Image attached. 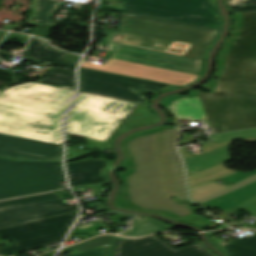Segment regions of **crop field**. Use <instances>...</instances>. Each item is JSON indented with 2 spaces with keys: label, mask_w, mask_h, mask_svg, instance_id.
I'll list each match as a JSON object with an SVG mask.
<instances>
[{
  "label": "crop field",
  "mask_w": 256,
  "mask_h": 256,
  "mask_svg": "<svg viewBox=\"0 0 256 256\" xmlns=\"http://www.w3.org/2000/svg\"><path fill=\"white\" fill-rule=\"evenodd\" d=\"M179 133L175 127H163L125 139L129 156L120 169L128 171L119 176L127 186L117 206L156 211L174 220L191 213L170 198L187 199L183 164L175 148Z\"/></svg>",
  "instance_id": "1"
},
{
  "label": "crop field",
  "mask_w": 256,
  "mask_h": 256,
  "mask_svg": "<svg viewBox=\"0 0 256 256\" xmlns=\"http://www.w3.org/2000/svg\"><path fill=\"white\" fill-rule=\"evenodd\" d=\"M235 27L216 63L218 79L199 92L213 133L256 127V12L234 14Z\"/></svg>",
  "instance_id": "2"
},
{
  "label": "crop field",
  "mask_w": 256,
  "mask_h": 256,
  "mask_svg": "<svg viewBox=\"0 0 256 256\" xmlns=\"http://www.w3.org/2000/svg\"><path fill=\"white\" fill-rule=\"evenodd\" d=\"M103 41L110 53L121 38L142 42L138 48L118 44L111 58L127 61L122 69L83 61L82 67L174 85H185L201 73L205 46L117 31Z\"/></svg>",
  "instance_id": "3"
},
{
  "label": "crop field",
  "mask_w": 256,
  "mask_h": 256,
  "mask_svg": "<svg viewBox=\"0 0 256 256\" xmlns=\"http://www.w3.org/2000/svg\"><path fill=\"white\" fill-rule=\"evenodd\" d=\"M211 142L202 143V156L192 157L180 151L186 161L190 187L219 178L226 185L207 184L191 189L192 201L203 206L242 209L256 203V170L244 174L223 166L230 159L228 148L233 139L256 142V129L212 135ZM183 159V160H184ZM184 161V162H185ZM235 183L229 186V183ZM188 184V185H189Z\"/></svg>",
  "instance_id": "4"
},
{
  "label": "crop field",
  "mask_w": 256,
  "mask_h": 256,
  "mask_svg": "<svg viewBox=\"0 0 256 256\" xmlns=\"http://www.w3.org/2000/svg\"><path fill=\"white\" fill-rule=\"evenodd\" d=\"M74 91L34 82L0 94V133L62 145L61 121Z\"/></svg>",
  "instance_id": "5"
},
{
  "label": "crop field",
  "mask_w": 256,
  "mask_h": 256,
  "mask_svg": "<svg viewBox=\"0 0 256 256\" xmlns=\"http://www.w3.org/2000/svg\"><path fill=\"white\" fill-rule=\"evenodd\" d=\"M135 105L79 92L67 117V132L105 141Z\"/></svg>",
  "instance_id": "6"
},
{
  "label": "crop field",
  "mask_w": 256,
  "mask_h": 256,
  "mask_svg": "<svg viewBox=\"0 0 256 256\" xmlns=\"http://www.w3.org/2000/svg\"><path fill=\"white\" fill-rule=\"evenodd\" d=\"M100 8L221 28V19L211 0H121L122 8L104 5Z\"/></svg>",
  "instance_id": "7"
},
{
  "label": "crop field",
  "mask_w": 256,
  "mask_h": 256,
  "mask_svg": "<svg viewBox=\"0 0 256 256\" xmlns=\"http://www.w3.org/2000/svg\"><path fill=\"white\" fill-rule=\"evenodd\" d=\"M77 212L0 228V237L7 238L14 244L1 248L0 256H7L24 250H35L62 240Z\"/></svg>",
  "instance_id": "8"
},
{
  "label": "crop field",
  "mask_w": 256,
  "mask_h": 256,
  "mask_svg": "<svg viewBox=\"0 0 256 256\" xmlns=\"http://www.w3.org/2000/svg\"><path fill=\"white\" fill-rule=\"evenodd\" d=\"M79 82L81 92L126 100L141 104L146 97L138 92L141 90L148 93H155L174 85L153 82L108 72H102L80 67Z\"/></svg>",
  "instance_id": "9"
},
{
  "label": "crop field",
  "mask_w": 256,
  "mask_h": 256,
  "mask_svg": "<svg viewBox=\"0 0 256 256\" xmlns=\"http://www.w3.org/2000/svg\"><path fill=\"white\" fill-rule=\"evenodd\" d=\"M120 19L124 22L119 28L120 31L184 41L205 46L210 45L220 31L209 27L125 13L121 14Z\"/></svg>",
  "instance_id": "10"
},
{
  "label": "crop field",
  "mask_w": 256,
  "mask_h": 256,
  "mask_svg": "<svg viewBox=\"0 0 256 256\" xmlns=\"http://www.w3.org/2000/svg\"><path fill=\"white\" fill-rule=\"evenodd\" d=\"M114 256H213L204 251L199 243L174 249L157 236L139 240H118Z\"/></svg>",
  "instance_id": "11"
},
{
  "label": "crop field",
  "mask_w": 256,
  "mask_h": 256,
  "mask_svg": "<svg viewBox=\"0 0 256 256\" xmlns=\"http://www.w3.org/2000/svg\"><path fill=\"white\" fill-rule=\"evenodd\" d=\"M62 146L0 134V156L17 160H61Z\"/></svg>",
  "instance_id": "12"
},
{
  "label": "crop field",
  "mask_w": 256,
  "mask_h": 256,
  "mask_svg": "<svg viewBox=\"0 0 256 256\" xmlns=\"http://www.w3.org/2000/svg\"><path fill=\"white\" fill-rule=\"evenodd\" d=\"M62 170L0 180V199L64 188Z\"/></svg>",
  "instance_id": "13"
},
{
  "label": "crop field",
  "mask_w": 256,
  "mask_h": 256,
  "mask_svg": "<svg viewBox=\"0 0 256 256\" xmlns=\"http://www.w3.org/2000/svg\"><path fill=\"white\" fill-rule=\"evenodd\" d=\"M76 210H78L77 205H67L60 200L29 206L20 205L0 209V227L32 221Z\"/></svg>",
  "instance_id": "14"
},
{
  "label": "crop field",
  "mask_w": 256,
  "mask_h": 256,
  "mask_svg": "<svg viewBox=\"0 0 256 256\" xmlns=\"http://www.w3.org/2000/svg\"><path fill=\"white\" fill-rule=\"evenodd\" d=\"M110 161L105 159H83L79 162L66 164L67 172L70 180L71 188L89 185L92 190L96 189L97 192H101L105 185L104 171L109 165ZM104 190V191H105Z\"/></svg>",
  "instance_id": "15"
},
{
  "label": "crop field",
  "mask_w": 256,
  "mask_h": 256,
  "mask_svg": "<svg viewBox=\"0 0 256 256\" xmlns=\"http://www.w3.org/2000/svg\"><path fill=\"white\" fill-rule=\"evenodd\" d=\"M188 93L190 95L170 96L162 100L160 106L168 111L175 119L187 118L191 121L207 119L198 92L190 91Z\"/></svg>",
  "instance_id": "16"
},
{
  "label": "crop field",
  "mask_w": 256,
  "mask_h": 256,
  "mask_svg": "<svg viewBox=\"0 0 256 256\" xmlns=\"http://www.w3.org/2000/svg\"><path fill=\"white\" fill-rule=\"evenodd\" d=\"M62 169L57 162H16L0 159V179Z\"/></svg>",
  "instance_id": "17"
},
{
  "label": "crop field",
  "mask_w": 256,
  "mask_h": 256,
  "mask_svg": "<svg viewBox=\"0 0 256 256\" xmlns=\"http://www.w3.org/2000/svg\"><path fill=\"white\" fill-rule=\"evenodd\" d=\"M26 54L33 60L42 61L50 65H58L73 69L76 64L75 62L61 60V58L68 53L49 49L45 40L36 37L31 38L26 49Z\"/></svg>",
  "instance_id": "18"
},
{
  "label": "crop field",
  "mask_w": 256,
  "mask_h": 256,
  "mask_svg": "<svg viewBox=\"0 0 256 256\" xmlns=\"http://www.w3.org/2000/svg\"><path fill=\"white\" fill-rule=\"evenodd\" d=\"M59 5L53 0H32L30 8L33 12L27 24L36 26L56 25L51 20L50 13L55 12Z\"/></svg>",
  "instance_id": "19"
},
{
  "label": "crop field",
  "mask_w": 256,
  "mask_h": 256,
  "mask_svg": "<svg viewBox=\"0 0 256 256\" xmlns=\"http://www.w3.org/2000/svg\"><path fill=\"white\" fill-rule=\"evenodd\" d=\"M157 120V117L150 113L145 106L137 104L122 123L115 129V131L108 137L106 142L111 143L112 137L127 127L147 124Z\"/></svg>",
  "instance_id": "20"
},
{
  "label": "crop field",
  "mask_w": 256,
  "mask_h": 256,
  "mask_svg": "<svg viewBox=\"0 0 256 256\" xmlns=\"http://www.w3.org/2000/svg\"><path fill=\"white\" fill-rule=\"evenodd\" d=\"M37 82L75 90L74 72L68 70L51 68L47 76Z\"/></svg>",
  "instance_id": "21"
},
{
  "label": "crop field",
  "mask_w": 256,
  "mask_h": 256,
  "mask_svg": "<svg viewBox=\"0 0 256 256\" xmlns=\"http://www.w3.org/2000/svg\"><path fill=\"white\" fill-rule=\"evenodd\" d=\"M223 249L227 256H256V235L239 239Z\"/></svg>",
  "instance_id": "22"
},
{
  "label": "crop field",
  "mask_w": 256,
  "mask_h": 256,
  "mask_svg": "<svg viewBox=\"0 0 256 256\" xmlns=\"http://www.w3.org/2000/svg\"><path fill=\"white\" fill-rule=\"evenodd\" d=\"M57 199H60V198L54 192H52V193L43 194V195L3 201V202H0V208L10 207V206H15L20 204L29 205V204H35V203L46 202V201L57 200Z\"/></svg>",
  "instance_id": "23"
},
{
  "label": "crop field",
  "mask_w": 256,
  "mask_h": 256,
  "mask_svg": "<svg viewBox=\"0 0 256 256\" xmlns=\"http://www.w3.org/2000/svg\"><path fill=\"white\" fill-rule=\"evenodd\" d=\"M112 236L107 235V236H100L97 237L93 240L81 243V244H77L74 246H70L67 247L66 249L62 250L61 253L67 252V251H71L74 249H77L80 253L109 244L111 242Z\"/></svg>",
  "instance_id": "24"
},
{
  "label": "crop field",
  "mask_w": 256,
  "mask_h": 256,
  "mask_svg": "<svg viewBox=\"0 0 256 256\" xmlns=\"http://www.w3.org/2000/svg\"><path fill=\"white\" fill-rule=\"evenodd\" d=\"M110 246L111 244L76 255V256H111V254L109 253Z\"/></svg>",
  "instance_id": "25"
},
{
  "label": "crop field",
  "mask_w": 256,
  "mask_h": 256,
  "mask_svg": "<svg viewBox=\"0 0 256 256\" xmlns=\"http://www.w3.org/2000/svg\"><path fill=\"white\" fill-rule=\"evenodd\" d=\"M229 9L235 13L256 11V3L253 4H232Z\"/></svg>",
  "instance_id": "26"
},
{
  "label": "crop field",
  "mask_w": 256,
  "mask_h": 256,
  "mask_svg": "<svg viewBox=\"0 0 256 256\" xmlns=\"http://www.w3.org/2000/svg\"><path fill=\"white\" fill-rule=\"evenodd\" d=\"M91 153V151L79 150L74 148H67L66 160H71L83 154Z\"/></svg>",
  "instance_id": "27"
},
{
  "label": "crop field",
  "mask_w": 256,
  "mask_h": 256,
  "mask_svg": "<svg viewBox=\"0 0 256 256\" xmlns=\"http://www.w3.org/2000/svg\"><path fill=\"white\" fill-rule=\"evenodd\" d=\"M51 28H52V26H48V27H36V28H33V29H32V31L30 32V34L49 37V33H50Z\"/></svg>",
  "instance_id": "28"
},
{
  "label": "crop field",
  "mask_w": 256,
  "mask_h": 256,
  "mask_svg": "<svg viewBox=\"0 0 256 256\" xmlns=\"http://www.w3.org/2000/svg\"><path fill=\"white\" fill-rule=\"evenodd\" d=\"M91 205H93L96 209V211H100V210H103V209H108L106 207V205L104 203H101V202H98V204H95V203H92Z\"/></svg>",
  "instance_id": "29"
},
{
  "label": "crop field",
  "mask_w": 256,
  "mask_h": 256,
  "mask_svg": "<svg viewBox=\"0 0 256 256\" xmlns=\"http://www.w3.org/2000/svg\"><path fill=\"white\" fill-rule=\"evenodd\" d=\"M79 58H80V56L69 54L66 57L62 58V59L78 62Z\"/></svg>",
  "instance_id": "30"
},
{
  "label": "crop field",
  "mask_w": 256,
  "mask_h": 256,
  "mask_svg": "<svg viewBox=\"0 0 256 256\" xmlns=\"http://www.w3.org/2000/svg\"><path fill=\"white\" fill-rule=\"evenodd\" d=\"M13 36L20 37V38H25V39L28 38V36H26V35L11 33L10 36L3 42H6V41L10 40Z\"/></svg>",
  "instance_id": "31"
},
{
  "label": "crop field",
  "mask_w": 256,
  "mask_h": 256,
  "mask_svg": "<svg viewBox=\"0 0 256 256\" xmlns=\"http://www.w3.org/2000/svg\"><path fill=\"white\" fill-rule=\"evenodd\" d=\"M252 2H256V1H244V2H227V4H231V3H252Z\"/></svg>",
  "instance_id": "32"
},
{
  "label": "crop field",
  "mask_w": 256,
  "mask_h": 256,
  "mask_svg": "<svg viewBox=\"0 0 256 256\" xmlns=\"http://www.w3.org/2000/svg\"><path fill=\"white\" fill-rule=\"evenodd\" d=\"M225 1H244V0H225Z\"/></svg>",
  "instance_id": "33"
},
{
  "label": "crop field",
  "mask_w": 256,
  "mask_h": 256,
  "mask_svg": "<svg viewBox=\"0 0 256 256\" xmlns=\"http://www.w3.org/2000/svg\"><path fill=\"white\" fill-rule=\"evenodd\" d=\"M5 32H3V31H0V38H1V36L4 34Z\"/></svg>",
  "instance_id": "34"
},
{
  "label": "crop field",
  "mask_w": 256,
  "mask_h": 256,
  "mask_svg": "<svg viewBox=\"0 0 256 256\" xmlns=\"http://www.w3.org/2000/svg\"><path fill=\"white\" fill-rule=\"evenodd\" d=\"M1 5H2V0H0V7H1Z\"/></svg>",
  "instance_id": "35"
},
{
  "label": "crop field",
  "mask_w": 256,
  "mask_h": 256,
  "mask_svg": "<svg viewBox=\"0 0 256 256\" xmlns=\"http://www.w3.org/2000/svg\"><path fill=\"white\" fill-rule=\"evenodd\" d=\"M0 93H1V91H0Z\"/></svg>",
  "instance_id": "36"
}]
</instances>
